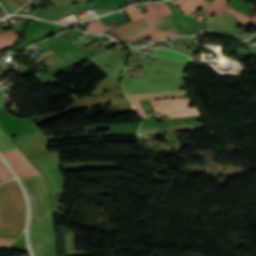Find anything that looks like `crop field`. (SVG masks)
<instances>
[{
    "label": "crop field",
    "mask_w": 256,
    "mask_h": 256,
    "mask_svg": "<svg viewBox=\"0 0 256 256\" xmlns=\"http://www.w3.org/2000/svg\"><path fill=\"white\" fill-rule=\"evenodd\" d=\"M26 220L23 194L11 180L0 186V233L20 235Z\"/></svg>",
    "instance_id": "1"
},
{
    "label": "crop field",
    "mask_w": 256,
    "mask_h": 256,
    "mask_svg": "<svg viewBox=\"0 0 256 256\" xmlns=\"http://www.w3.org/2000/svg\"><path fill=\"white\" fill-rule=\"evenodd\" d=\"M144 6H145L147 12H143L142 15L145 17V19L149 23L150 27L125 39V41L130 39L131 42H133L148 33L152 36V38L155 41L163 39V38H167V37L176 36L175 32H165V31H162L160 33L157 32V30L154 26L156 24H160V21L158 20L157 17L165 16L159 3L147 4Z\"/></svg>",
    "instance_id": "2"
},
{
    "label": "crop field",
    "mask_w": 256,
    "mask_h": 256,
    "mask_svg": "<svg viewBox=\"0 0 256 256\" xmlns=\"http://www.w3.org/2000/svg\"><path fill=\"white\" fill-rule=\"evenodd\" d=\"M153 107L186 104L188 100L181 98L150 101ZM156 113L168 114L169 118L199 115L196 107L188 108L186 105L154 108Z\"/></svg>",
    "instance_id": "3"
},
{
    "label": "crop field",
    "mask_w": 256,
    "mask_h": 256,
    "mask_svg": "<svg viewBox=\"0 0 256 256\" xmlns=\"http://www.w3.org/2000/svg\"><path fill=\"white\" fill-rule=\"evenodd\" d=\"M2 155L6 158L19 177L40 175L18 148L5 151Z\"/></svg>",
    "instance_id": "4"
},
{
    "label": "crop field",
    "mask_w": 256,
    "mask_h": 256,
    "mask_svg": "<svg viewBox=\"0 0 256 256\" xmlns=\"http://www.w3.org/2000/svg\"><path fill=\"white\" fill-rule=\"evenodd\" d=\"M22 183L24 184L26 191L30 197L31 207H32V222H38L39 219L45 215V208L42 205L44 203L43 196H42L40 187L38 185V182L36 179H32V180H24L22 181ZM33 197L38 198L43 203L40 204L41 202L36 198L35 200L40 203L35 202Z\"/></svg>",
    "instance_id": "5"
},
{
    "label": "crop field",
    "mask_w": 256,
    "mask_h": 256,
    "mask_svg": "<svg viewBox=\"0 0 256 256\" xmlns=\"http://www.w3.org/2000/svg\"><path fill=\"white\" fill-rule=\"evenodd\" d=\"M130 50H131V52H136V53L141 54L139 49L130 48ZM143 55L154 57V58H159V59L176 61V62L185 63V64L194 63L189 57H187L183 54H180L178 52L169 51V50H164V49H154L153 54H143Z\"/></svg>",
    "instance_id": "6"
},
{
    "label": "crop field",
    "mask_w": 256,
    "mask_h": 256,
    "mask_svg": "<svg viewBox=\"0 0 256 256\" xmlns=\"http://www.w3.org/2000/svg\"><path fill=\"white\" fill-rule=\"evenodd\" d=\"M184 95H185V90L129 94V95H126V96L131 100H138V99L152 100V99H159V98L182 97Z\"/></svg>",
    "instance_id": "7"
},
{
    "label": "crop field",
    "mask_w": 256,
    "mask_h": 256,
    "mask_svg": "<svg viewBox=\"0 0 256 256\" xmlns=\"http://www.w3.org/2000/svg\"><path fill=\"white\" fill-rule=\"evenodd\" d=\"M205 1L206 0H174L173 2L177 4L187 14H192Z\"/></svg>",
    "instance_id": "8"
},
{
    "label": "crop field",
    "mask_w": 256,
    "mask_h": 256,
    "mask_svg": "<svg viewBox=\"0 0 256 256\" xmlns=\"http://www.w3.org/2000/svg\"><path fill=\"white\" fill-rule=\"evenodd\" d=\"M167 130H195L193 126H174L170 128L159 129V127H140L139 133L145 136H151Z\"/></svg>",
    "instance_id": "9"
},
{
    "label": "crop field",
    "mask_w": 256,
    "mask_h": 256,
    "mask_svg": "<svg viewBox=\"0 0 256 256\" xmlns=\"http://www.w3.org/2000/svg\"><path fill=\"white\" fill-rule=\"evenodd\" d=\"M227 5V0H215L212 3L210 2H206L204 5H202L200 8L208 11L209 13L207 14V16L213 14V13H217L219 15H221L225 9Z\"/></svg>",
    "instance_id": "10"
},
{
    "label": "crop field",
    "mask_w": 256,
    "mask_h": 256,
    "mask_svg": "<svg viewBox=\"0 0 256 256\" xmlns=\"http://www.w3.org/2000/svg\"><path fill=\"white\" fill-rule=\"evenodd\" d=\"M17 35L11 29L0 33V50L12 46L16 42Z\"/></svg>",
    "instance_id": "11"
},
{
    "label": "crop field",
    "mask_w": 256,
    "mask_h": 256,
    "mask_svg": "<svg viewBox=\"0 0 256 256\" xmlns=\"http://www.w3.org/2000/svg\"><path fill=\"white\" fill-rule=\"evenodd\" d=\"M146 23L144 17L134 21V22H131L129 24H126V25H123V26H120V27H117L115 29H113L115 32H117L119 35L133 29V28H136L142 24Z\"/></svg>",
    "instance_id": "12"
},
{
    "label": "crop field",
    "mask_w": 256,
    "mask_h": 256,
    "mask_svg": "<svg viewBox=\"0 0 256 256\" xmlns=\"http://www.w3.org/2000/svg\"><path fill=\"white\" fill-rule=\"evenodd\" d=\"M226 12L234 14L239 21H241V22H243L245 24L252 25L256 21V17L251 19V18H249V17H247V16H245V15H243V14H241V13H239V12L233 10V9H230V8H227Z\"/></svg>",
    "instance_id": "13"
},
{
    "label": "crop field",
    "mask_w": 256,
    "mask_h": 256,
    "mask_svg": "<svg viewBox=\"0 0 256 256\" xmlns=\"http://www.w3.org/2000/svg\"><path fill=\"white\" fill-rule=\"evenodd\" d=\"M14 178L10 171L5 167V165L0 160V184Z\"/></svg>",
    "instance_id": "14"
},
{
    "label": "crop field",
    "mask_w": 256,
    "mask_h": 256,
    "mask_svg": "<svg viewBox=\"0 0 256 256\" xmlns=\"http://www.w3.org/2000/svg\"><path fill=\"white\" fill-rule=\"evenodd\" d=\"M103 37L104 36L90 35V36H88V37H86L84 39H81V40H79V41H77L75 43L78 46H80L81 48H83V47H85V46H87V45H89V44H91V43H93V42L103 38Z\"/></svg>",
    "instance_id": "15"
},
{
    "label": "crop field",
    "mask_w": 256,
    "mask_h": 256,
    "mask_svg": "<svg viewBox=\"0 0 256 256\" xmlns=\"http://www.w3.org/2000/svg\"><path fill=\"white\" fill-rule=\"evenodd\" d=\"M128 14L132 18V20L142 17L141 13L138 11L137 8L127 9Z\"/></svg>",
    "instance_id": "16"
},
{
    "label": "crop field",
    "mask_w": 256,
    "mask_h": 256,
    "mask_svg": "<svg viewBox=\"0 0 256 256\" xmlns=\"http://www.w3.org/2000/svg\"><path fill=\"white\" fill-rule=\"evenodd\" d=\"M147 27H149V26H148V24L146 23V24H144V25H142V26H140V27H138V28H136V29H134V30H131V31H129V32H127V33L121 35V37L124 39V38H126V37H128V36H130V35H132V34H134V33H136V32H138V31H140V30H142V29L147 28Z\"/></svg>",
    "instance_id": "17"
},
{
    "label": "crop field",
    "mask_w": 256,
    "mask_h": 256,
    "mask_svg": "<svg viewBox=\"0 0 256 256\" xmlns=\"http://www.w3.org/2000/svg\"><path fill=\"white\" fill-rule=\"evenodd\" d=\"M14 239L0 238V247L9 248V246L14 242Z\"/></svg>",
    "instance_id": "18"
},
{
    "label": "crop field",
    "mask_w": 256,
    "mask_h": 256,
    "mask_svg": "<svg viewBox=\"0 0 256 256\" xmlns=\"http://www.w3.org/2000/svg\"><path fill=\"white\" fill-rule=\"evenodd\" d=\"M133 104L136 106V108H137V110H138L140 116L146 117L145 112L143 111V109H142V107H141L139 101H134Z\"/></svg>",
    "instance_id": "19"
},
{
    "label": "crop field",
    "mask_w": 256,
    "mask_h": 256,
    "mask_svg": "<svg viewBox=\"0 0 256 256\" xmlns=\"http://www.w3.org/2000/svg\"><path fill=\"white\" fill-rule=\"evenodd\" d=\"M160 5H161V7L163 8V10H164L166 16L169 15L170 13H172L170 7H169L167 4L162 3V4H160Z\"/></svg>",
    "instance_id": "20"
},
{
    "label": "crop field",
    "mask_w": 256,
    "mask_h": 256,
    "mask_svg": "<svg viewBox=\"0 0 256 256\" xmlns=\"http://www.w3.org/2000/svg\"><path fill=\"white\" fill-rule=\"evenodd\" d=\"M23 5L28 2V0H19Z\"/></svg>",
    "instance_id": "21"
},
{
    "label": "crop field",
    "mask_w": 256,
    "mask_h": 256,
    "mask_svg": "<svg viewBox=\"0 0 256 256\" xmlns=\"http://www.w3.org/2000/svg\"><path fill=\"white\" fill-rule=\"evenodd\" d=\"M49 54H51V51H49V52H47V53L42 54V57H44V56H46V55H49Z\"/></svg>",
    "instance_id": "22"
}]
</instances>
